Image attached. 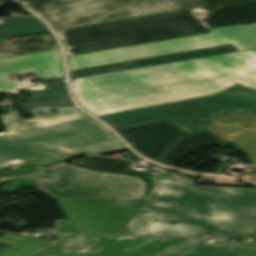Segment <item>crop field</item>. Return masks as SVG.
Instances as JSON below:
<instances>
[{
	"label": "crop field",
	"instance_id": "3",
	"mask_svg": "<svg viewBox=\"0 0 256 256\" xmlns=\"http://www.w3.org/2000/svg\"><path fill=\"white\" fill-rule=\"evenodd\" d=\"M256 21V0L206 11L203 7L57 32L67 55L202 34ZM89 48V50H86Z\"/></svg>",
	"mask_w": 256,
	"mask_h": 256
},
{
	"label": "crop field",
	"instance_id": "16",
	"mask_svg": "<svg viewBox=\"0 0 256 256\" xmlns=\"http://www.w3.org/2000/svg\"><path fill=\"white\" fill-rule=\"evenodd\" d=\"M188 238L135 237L120 240L108 256H154Z\"/></svg>",
	"mask_w": 256,
	"mask_h": 256
},
{
	"label": "crop field",
	"instance_id": "24",
	"mask_svg": "<svg viewBox=\"0 0 256 256\" xmlns=\"http://www.w3.org/2000/svg\"><path fill=\"white\" fill-rule=\"evenodd\" d=\"M18 1L25 4L35 12L39 13L41 11H44L56 6H60L75 0H18Z\"/></svg>",
	"mask_w": 256,
	"mask_h": 256
},
{
	"label": "crop field",
	"instance_id": "28",
	"mask_svg": "<svg viewBox=\"0 0 256 256\" xmlns=\"http://www.w3.org/2000/svg\"><path fill=\"white\" fill-rule=\"evenodd\" d=\"M123 238H134V237H122L121 239H123Z\"/></svg>",
	"mask_w": 256,
	"mask_h": 256
},
{
	"label": "crop field",
	"instance_id": "26",
	"mask_svg": "<svg viewBox=\"0 0 256 256\" xmlns=\"http://www.w3.org/2000/svg\"><path fill=\"white\" fill-rule=\"evenodd\" d=\"M204 177H210V178H214V179H219V178H217V177L202 175V177L200 178V180L198 181V183H200ZM221 181H222V184H224V185H242V186H249V185H247V184L236 183L237 181H236V180H233V179L222 178ZM205 184H208V183H205Z\"/></svg>",
	"mask_w": 256,
	"mask_h": 256
},
{
	"label": "crop field",
	"instance_id": "8",
	"mask_svg": "<svg viewBox=\"0 0 256 256\" xmlns=\"http://www.w3.org/2000/svg\"><path fill=\"white\" fill-rule=\"evenodd\" d=\"M23 177L37 181V188L49 196L92 198H143L145 183L137 178L96 172L67 164Z\"/></svg>",
	"mask_w": 256,
	"mask_h": 256
},
{
	"label": "crop field",
	"instance_id": "22",
	"mask_svg": "<svg viewBox=\"0 0 256 256\" xmlns=\"http://www.w3.org/2000/svg\"><path fill=\"white\" fill-rule=\"evenodd\" d=\"M130 165L131 162L129 161L106 157L86 156L84 167L99 171L127 173L130 172Z\"/></svg>",
	"mask_w": 256,
	"mask_h": 256
},
{
	"label": "crop field",
	"instance_id": "10",
	"mask_svg": "<svg viewBox=\"0 0 256 256\" xmlns=\"http://www.w3.org/2000/svg\"><path fill=\"white\" fill-rule=\"evenodd\" d=\"M9 73H34L41 80H57L64 78L59 49L1 58L0 59V91L11 93L29 84V81H12Z\"/></svg>",
	"mask_w": 256,
	"mask_h": 256
},
{
	"label": "crop field",
	"instance_id": "27",
	"mask_svg": "<svg viewBox=\"0 0 256 256\" xmlns=\"http://www.w3.org/2000/svg\"><path fill=\"white\" fill-rule=\"evenodd\" d=\"M31 112L33 113L34 117H38L39 116L38 113L36 112V110H31ZM43 116H47V114L46 115H42L40 117H43Z\"/></svg>",
	"mask_w": 256,
	"mask_h": 256
},
{
	"label": "crop field",
	"instance_id": "20",
	"mask_svg": "<svg viewBox=\"0 0 256 256\" xmlns=\"http://www.w3.org/2000/svg\"><path fill=\"white\" fill-rule=\"evenodd\" d=\"M48 31L46 25L36 16L25 19L8 18L0 25V40Z\"/></svg>",
	"mask_w": 256,
	"mask_h": 256
},
{
	"label": "crop field",
	"instance_id": "4",
	"mask_svg": "<svg viewBox=\"0 0 256 256\" xmlns=\"http://www.w3.org/2000/svg\"><path fill=\"white\" fill-rule=\"evenodd\" d=\"M128 150L103 124L88 118L0 134V180L27 175L83 154ZM20 158L27 164L10 163Z\"/></svg>",
	"mask_w": 256,
	"mask_h": 256
},
{
	"label": "crop field",
	"instance_id": "13",
	"mask_svg": "<svg viewBox=\"0 0 256 256\" xmlns=\"http://www.w3.org/2000/svg\"><path fill=\"white\" fill-rule=\"evenodd\" d=\"M120 236L71 235L33 256H106Z\"/></svg>",
	"mask_w": 256,
	"mask_h": 256
},
{
	"label": "crop field",
	"instance_id": "5",
	"mask_svg": "<svg viewBox=\"0 0 256 256\" xmlns=\"http://www.w3.org/2000/svg\"><path fill=\"white\" fill-rule=\"evenodd\" d=\"M232 43L238 51L256 48V24L210 30V33L107 51L71 56L69 69L76 70L163 54L197 50Z\"/></svg>",
	"mask_w": 256,
	"mask_h": 256
},
{
	"label": "crop field",
	"instance_id": "2",
	"mask_svg": "<svg viewBox=\"0 0 256 256\" xmlns=\"http://www.w3.org/2000/svg\"><path fill=\"white\" fill-rule=\"evenodd\" d=\"M151 179L155 187L127 223L128 234L256 238V189L192 186L177 176Z\"/></svg>",
	"mask_w": 256,
	"mask_h": 256
},
{
	"label": "crop field",
	"instance_id": "15",
	"mask_svg": "<svg viewBox=\"0 0 256 256\" xmlns=\"http://www.w3.org/2000/svg\"><path fill=\"white\" fill-rule=\"evenodd\" d=\"M158 256H256V245L205 243L195 239Z\"/></svg>",
	"mask_w": 256,
	"mask_h": 256
},
{
	"label": "crop field",
	"instance_id": "18",
	"mask_svg": "<svg viewBox=\"0 0 256 256\" xmlns=\"http://www.w3.org/2000/svg\"><path fill=\"white\" fill-rule=\"evenodd\" d=\"M50 116L43 118H33L29 120H22L19 113H14L1 117L8 132L17 131L22 129H28L33 127H39L49 124H55L60 122H66L71 120H77L82 118H88L77 108L61 109L55 113L49 114Z\"/></svg>",
	"mask_w": 256,
	"mask_h": 256
},
{
	"label": "crop field",
	"instance_id": "25",
	"mask_svg": "<svg viewBox=\"0 0 256 256\" xmlns=\"http://www.w3.org/2000/svg\"><path fill=\"white\" fill-rule=\"evenodd\" d=\"M239 86H236V87L224 92L223 94L256 102V91L255 90H251V89H247V88H243V87H239Z\"/></svg>",
	"mask_w": 256,
	"mask_h": 256
},
{
	"label": "crop field",
	"instance_id": "12",
	"mask_svg": "<svg viewBox=\"0 0 256 256\" xmlns=\"http://www.w3.org/2000/svg\"><path fill=\"white\" fill-rule=\"evenodd\" d=\"M209 129L225 142L236 143L256 164V115L232 113L212 119ZM249 180L256 182V173Z\"/></svg>",
	"mask_w": 256,
	"mask_h": 256
},
{
	"label": "crop field",
	"instance_id": "6",
	"mask_svg": "<svg viewBox=\"0 0 256 256\" xmlns=\"http://www.w3.org/2000/svg\"><path fill=\"white\" fill-rule=\"evenodd\" d=\"M250 0H81L41 16L55 30L203 6L206 10Z\"/></svg>",
	"mask_w": 256,
	"mask_h": 256
},
{
	"label": "crop field",
	"instance_id": "11",
	"mask_svg": "<svg viewBox=\"0 0 256 256\" xmlns=\"http://www.w3.org/2000/svg\"><path fill=\"white\" fill-rule=\"evenodd\" d=\"M132 148L156 161L179 137L189 135L168 121L117 131Z\"/></svg>",
	"mask_w": 256,
	"mask_h": 256
},
{
	"label": "crop field",
	"instance_id": "7",
	"mask_svg": "<svg viewBox=\"0 0 256 256\" xmlns=\"http://www.w3.org/2000/svg\"><path fill=\"white\" fill-rule=\"evenodd\" d=\"M222 94L101 118L116 130L168 120L191 134L204 130L210 117L231 111L256 112V103Z\"/></svg>",
	"mask_w": 256,
	"mask_h": 256
},
{
	"label": "crop field",
	"instance_id": "9",
	"mask_svg": "<svg viewBox=\"0 0 256 256\" xmlns=\"http://www.w3.org/2000/svg\"><path fill=\"white\" fill-rule=\"evenodd\" d=\"M52 198L74 232L107 234H125V223L143 202V199Z\"/></svg>",
	"mask_w": 256,
	"mask_h": 256
},
{
	"label": "crop field",
	"instance_id": "29",
	"mask_svg": "<svg viewBox=\"0 0 256 256\" xmlns=\"http://www.w3.org/2000/svg\"><path fill=\"white\" fill-rule=\"evenodd\" d=\"M41 108H54V107H41Z\"/></svg>",
	"mask_w": 256,
	"mask_h": 256
},
{
	"label": "crop field",
	"instance_id": "23",
	"mask_svg": "<svg viewBox=\"0 0 256 256\" xmlns=\"http://www.w3.org/2000/svg\"><path fill=\"white\" fill-rule=\"evenodd\" d=\"M58 46L55 42L35 44V45H20V44H8L6 40L0 41V58L7 56H14L50 49H56Z\"/></svg>",
	"mask_w": 256,
	"mask_h": 256
},
{
	"label": "crop field",
	"instance_id": "1",
	"mask_svg": "<svg viewBox=\"0 0 256 256\" xmlns=\"http://www.w3.org/2000/svg\"><path fill=\"white\" fill-rule=\"evenodd\" d=\"M236 83L256 90V50L72 81L75 98L94 115L213 94Z\"/></svg>",
	"mask_w": 256,
	"mask_h": 256
},
{
	"label": "crop field",
	"instance_id": "17",
	"mask_svg": "<svg viewBox=\"0 0 256 256\" xmlns=\"http://www.w3.org/2000/svg\"><path fill=\"white\" fill-rule=\"evenodd\" d=\"M215 145H228L210 131L182 138L173 148L168 151L158 162L175 167L176 161L203 148Z\"/></svg>",
	"mask_w": 256,
	"mask_h": 256
},
{
	"label": "crop field",
	"instance_id": "19",
	"mask_svg": "<svg viewBox=\"0 0 256 256\" xmlns=\"http://www.w3.org/2000/svg\"><path fill=\"white\" fill-rule=\"evenodd\" d=\"M45 90L32 91L34 98L25 102L26 109L40 106L66 107L74 104L68 97L66 82L44 84Z\"/></svg>",
	"mask_w": 256,
	"mask_h": 256
},
{
	"label": "crop field",
	"instance_id": "14",
	"mask_svg": "<svg viewBox=\"0 0 256 256\" xmlns=\"http://www.w3.org/2000/svg\"><path fill=\"white\" fill-rule=\"evenodd\" d=\"M236 51L237 49L232 44H229V45H224V46H219V47H214L209 49L182 52V53L158 56V57L142 59L137 61L76 70L71 72L70 75H71V78H77V77H83V76H89V75H95V74H101V73H107V72H113V71H119V70H125V69H132V68H138V67H144V66H150V65H157V64H163V63H169V62H176V61H182V60H188V59L225 54V53L236 52Z\"/></svg>",
	"mask_w": 256,
	"mask_h": 256
},
{
	"label": "crop field",
	"instance_id": "21",
	"mask_svg": "<svg viewBox=\"0 0 256 256\" xmlns=\"http://www.w3.org/2000/svg\"><path fill=\"white\" fill-rule=\"evenodd\" d=\"M1 243L7 246L0 248V256H26L51 244L10 233L0 237ZM9 245L15 246L10 248Z\"/></svg>",
	"mask_w": 256,
	"mask_h": 256
}]
</instances>
